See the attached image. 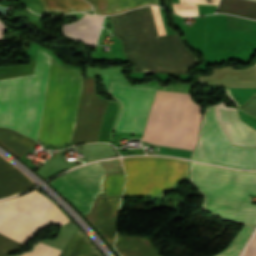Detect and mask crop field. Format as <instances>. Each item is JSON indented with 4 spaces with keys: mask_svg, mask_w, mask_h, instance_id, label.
<instances>
[{
    "mask_svg": "<svg viewBox=\"0 0 256 256\" xmlns=\"http://www.w3.org/2000/svg\"><path fill=\"white\" fill-rule=\"evenodd\" d=\"M106 101L95 95L93 78H84L73 144L96 142Z\"/></svg>",
    "mask_w": 256,
    "mask_h": 256,
    "instance_id": "10",
    "label": "crop field"
},
{
    "mask_svg": "<svg viewBox=\"0 0 256 256\" xmlns=\"http://www.w3.org/2000/svg\"><path fill=\"white\" fill-rule=\"evenodd\" d=\"M200 109L190 94L158 90L142 140L193 150L201 120Z\"/></svg>",
    "mask_w": 256,
    "mask_h": 256,
    "instance_id": "4",
    "label": "crop field"
},
{
    "mask_svg": "<svg viewBox=\"0 0 256 256\" xmlns=\"http://www.w3.org/2000/svg\"><path fill=\"white\" fill-rule=\"evenodd\" d=\"M190 181L205 199L202 209L228 221L256 226V172L191 162Z\"/></svg>",
    "mask_w": 256,
    "mask_h": 256,
    "instance_id": "3",
    "label": "crop field"
},
{
    "mask_svg": "<svg viewBox=\"0 0 256 256\" xmlns=\"http://www.w3.org/2000/svg\"><path fill=\"white\" fill-rule=\"evenodd\" d=\"M123 84L113 81L108 91L122 104L115 131L142 133L156 89L134 88Z\"/></svg>",
    "mask_w": 256,
    "mask_h": 256,
    "instance_id": "9",
    "label": "crop field"
},
{
    "mask_svg": "<svg viewBox=\"0 0 256 256\" xmlns=\"http://www.w3.org/2000/svg\"><path fill=\"white\" fill-rule=\"evenodd\" d=\"M120 197L100 199L96 217V229L113 247L116 227V214Z\"/></svg>",
    "mask_w": 256,
    "mask_h": 256,
    "instance_id": "14",
    "label": "crop field"
},
{
    "mask_svg": "<svg viewBox=\"0 0 256 256\" xmlns=\"http://www.w3.org/2000/svg\"><path fill=\"white\" fill-rule=\"evenodd\" d=\"M44 6L43 11L68 13L75 11H85L91 6L83 0H40Z\"/></svg>",
    "mask_w": 256,
    "mask_h": 256,
    "instance_id": "19",
    "label": "crop field"
},
{
    "mask_svg": "<svg viewBox=\"0 0 256 256\" xmlns=\"http://www.w3.org/2000/svg\"><path fill=\"white\" fill-rule=\"evenodd\" d=\"M215 110L232 145L256 146V131L240 121L235 109L221 103L215 106Z\"/></svg>",
    "mask_w": 256,
    "mask_h": 256,
    "instance_id": "11",
    "label": "crop field"
},
{
    "mask_svg": "<svg viewBox=\"0 0 256 256\" xmlns=\"http://www.w3.org/2000/svg\"><path fill=\"white\" fill-rule=\"evenodd\" d=\"M104 171L98 163L85 166L49 182L84 215L90 213L93 201L103 192Z\"/></svg>",
    "mask_w": 256,
    "mask_h": 256,
    "instance_id": "8",
    "label": "crop field"
},
{
    "mask_svg": "<svg viewBox=\"0 0 256 256\" xmlns=\"http://www.w3.org/2000/svg\"><path fill=\"white\" fill-rule=\"evenodd\" d=\"M68 219L44 196L33 190L0 202V233L23 244L40 227ZM0 234V256H6L21 244Z\"/></svg>",
    "mask_w": 256,
    "mask_h": 256,
    "instance_id": "5",
    "label": "crop field"
},
{
    "mask_svg": "<svg viewBox=\"0 0 256 256\" xmlns=\"http://www.w3.org/2000/svg\"><path fill=\"white\" fill-rule=\"evenodd\" d=\"M115 247L123 256H156L157 254V250L142 237L117 235Z\"/></svg>",
    "mask_w": 256,
    "mask_h": 256,
    "instance_id": "16",
    "label": "crop field"
},
{
    "mask_svg": "<svg viewBox=\"0 0 256 256\" xmlns=\"http://www.w3.org/2000/svg\"><path fill=\"white\" fill-rule=\"evenodd\" d=\"M124 186V172L105 174L103 189L106 198L120 196Z\"/></svg>",
    "mask_w": 256,
    "mask_h": 256,
    "instance_id": "20",
    "label": "crop field"
},
{
    "mask_svg": "<svg viewBox=\"0 0 256 256\" xmlns=\"http://www.w3.org/2000/svg\"><path fill=\"white\" fill-rule=\"evenodd\" d=\"M34 185L16 168L0 157V198L20 192Z\"/></svg>",
    "mask_w": 256,
    "mask_h": 256,
    "instance_id": "15",
    "label": "crop field"
},
{
    "mask_svg": "<svg viewBox=\"0 0 256 256\" xmlns=\"http://www.w3.org/2000/svg\"><path fill=\"white\" fill-rule=\"evenodd\" d=\"M254 91H256V88L226 89L228 96L237 104V106H240L245 102Z\"/></svg>",
    "mask_w": 256,
    "mask_h": 256,
    "instance_id": "22",
    "label": "crop field"
},
{
    "mask_svg": "<svg viewBox=\"0 0 256 256\" xmlns=\"http://www.w3.org/2000/svg\"><path fill=\"white\" fill-rule=\"evenodd\" d=\"M61 250L37 242L26 252L15 256H58ZM59 256H101L87 237L79 230L75 232Z\"/></svg>",
    "mask_w": 256,
    "mask_h": 256,
    "instance_id": "12",
    "label": "crop field"
},
{
    "mask_svg": "<svg viewBox=\"0 0 256 256\" xmlns=\"http://www.w3.org/2000/svg\"><path fill=\"white\" fill-rule=\"evenodd\" d=\"M102 20L103 17L84 14L79 20L62 24V33L95 48Z\"/></svg>",
    "mask_w": 256,
    "mask_h": 256,
    "instance_id": "13",
    "label": "crop field"
},
{
    "mask_svg": "<svg viewBox=\"0 0 256 256\" xmlns=\"http://www.w3.org/2000/svg\"><path fill=\"white\" fill-rule=\"evenodd\" d=\"M109 17L134 71L186 74L197 62L178 34L158 37L149 6Z\"/></svg>",
    "mask_w": 256,
    "mask_h": 256,
    "instance_id": "2",
    "label": "crop field"
},
{
    "mask_svg": "<svg viewBox=\"0 0 256 256\" xmlns=\"http://www.w3.org/2000/svg\"><path fill=\"white\" fill-rule=\"evenodd\" d=\"M6 26L5 24L0 20V40H3L5 35Z\"/></svg>",
    "mask_w": 256,
    "mask_h": 256,
    "instance_id": "23",
    "label": "crop field"
},
{
    "mask_svg": "<svg viewBox=\"0 0 256 256\" xmlns=\"http://www.w3.org/2000/svg\"><path fill=\"white\" fill-rule=\"evenodd\" d=\"M190 158L239 168H256V148L231 145L215 116L214 105L205 110L199 141Z\"/></svg>",
    "mask_w": 256,
    "mask_h": 256,
    "instance_id": "7",
    "label": "crop field"
},
{
    "mask_svg": "<svg viewBox=\"0 0 256 256\" xmlns=\"http://www.w3.org/2000/svg\"><path fill=\"white\" fill-rule=\"evenodd\" d=\"M124 193L162 196L187 178V162L166 157L123 158Z\"/></svg>",
    "mask_w": 256,
    "mask_h": 256,
    "instance_id": "6",
    "label": "crop field"
},
{
    "mask_svg": "<svg viewBox=\"0 0 256 256\" xmlns=\"http://www.w3.org/2000/svg\"><path fill=\"white\" fill-rule=\"evenodd\" d=\"M91 3L96 14L106 15L123 12L127 9L146 5L157 4V0H87Z\"/></svg>",
    "mask_w": 256,
    "mask_h": 256,
    "instance_id": "17",
    "label": "crop field"
},
{
    "mask_svg": "<svg viewBox=\"0 0 256 256\" xmlns=\"http://www.w3.org/2000/svg\"><path fill=\"white\" fill-rule=\"evenodd\" d=\"M34 143L35 141L21 134L9 129L0 128V144L19 158L27 152Z\"/></svg>",
    "mask_w": 256,
    "mask_h": 256,
    "instance_id": "18",
    "label": "crop field"
},
{
    "mask_svg": "<svg viewBox=\"0 0 256 256\" xmlns=\"http://www.w3.org/2000/svg\"><path fill=\"white\" fill-rule=\"evenodd\" d=\"M253 227L245 225L227 248L214 256H237L242 246L247 241Z\"/></svg>",
    "mask_w": 256,
    "mask_h": 256,
    "instance_id": "21",
    "label": "crop field"
},
{
    "mask_svg": "<svg viewBox=\"0 0 256 256\" xmlns=\"http://www.w3.org/2000/svg\"><path fill=\"white\" fill-rule=\"evenodd\" d=\"M249 1H254V2H256V0H249Z\"/></svg>",
    "mask_w": 256,
    "mask_h": 256,
    "instance_id": "24",
    "label": "crop field"
},
{
    "mask_svg": "<svg viewBox=\"0 0 256 256\" xmlns=\"http://www.w3.org/2000/svg\"><path fill=\"white\" fill-rule=\"evenodd\" d=\"M50 58L39 50L33 74L0 80V127L37 140ZM81 72L52 59L39 141L56 146L71 144L83 81Z\"/></svg>",
    "mask_w": 256,
    "mask_h": 256,
    "instance_id": "1",
    "label": "crop field"
}]
</instances>
